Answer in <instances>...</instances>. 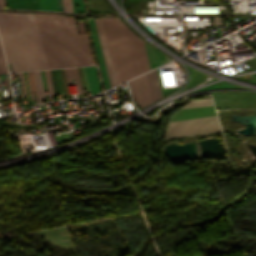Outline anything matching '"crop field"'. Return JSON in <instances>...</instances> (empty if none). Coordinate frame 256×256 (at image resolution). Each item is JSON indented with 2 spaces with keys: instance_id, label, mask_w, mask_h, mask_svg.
<instances>
[{
  "instance_id": "obj_2",
  "label": "crop field",
  "mask_w": 256,
  "mask_h": 256,
  "mask_svg": "<svg viewBox=\"0 0 256 256\" xmlns=\"http://www.w3.org/2000/svg\"><path fill=\"white\" fill-rule=\"evenodd\" d=\"M50 69L83 64L74 17L34 14Z\"/></svg>"
},
{
  "instance_id": "obj_8",
  "label": "crop field",
  "mask_w": 256,
  "mask_h": 256,
  "mask_svg": "<svg viewBox=\"0 0 256 256\" xmlns=\"http://www.w3.org/2000/svg\"><path fill=\"white\" fill-rule=\"evenodd\" d=\"M144 43H145L151 69L166 61L171 60L165 55H163L162 53H160L159 51H157L156 49H154L153 47H151L150 45H148L146 42Z\"/></svg>"
},
{
  "instance_id": "obj_15",
  "label": "crop field",
  "mask_w": 256,
  "mask_h": 256,
  "mask_svg": "<svg viewBox=\"0 0 256 256\" xmlns=\"http://www.w3.org/2000/svg\"><path fill=\"white\" fill-rule=\"evenodd\" d=\"M213 104L211 98H206V99H196V100H191L188 104H186L184 107H193V106H201V105H209Z\"/></svg>"
},
{
  "instance_id": "obj_23",
  "label": "crop field",
  "mask_w": 256,
  "mask_h": 256,
  "mask_svg": "<svg viewBox=\"0 0 256 256\" xmlns=\"http://www.w3.org/2000/svg\"><path fill=\"white\" fill-rule=\"evenodd\" d=\"M27 75V74H26ZM27 81H28V79H27ZM25 84V83H24ZM29 86V85H28ZM26 91V90H25ZM30 91V90H29ZM27 97V96H26ZM31 97V96H30Z\"/></svg>"
},
{
  "instance_id": "obj_18",
  "label": "crop field",
  "mask_w": 256,
  "mask_h": 256,
  "mask_svg": "<svg viewBox=\"0 0 256 256\" xmlns=\"http://www.w3.org/2000/svg\"><path fill=\"white\" fill-rule=\"evenodd\" d=\"M78 3V9L75 8V4ZM74 12H85L84 0H73Z\"/></svg>"
},
{
  "instance_id": "obj_7",
  "label": "crop field",
  "mask_w": 256,
  "mask_h": 256,
  "mask_svg": "<svg viewBox=\"0 0 256 256\" xmlns=\"http://www.w3.org/2000/svg\"><path fill=\"white\" fill-rule=\"evenodd\" d=\"M90 94L100 92L101 88L99 85L98 75L96 67H84Z\"/></svg>"
},
{
  "instance_id": "obj_9",
  "label": "crop field",
  "mask_w": 256,
  "mask_h": 256,
  "mask_svg": "<svg viewBox=\"0 0 256 256\" xmlns=\"http://www.w3.org/2000/svg\"><path fill=\"white\" fill-rule=\"evenodd\" d=\"M88 11L97 13H112L102 0H87Z\"/></svg>"
},
{
  "instance_id": "obj_6",
  "label": "crop field",
  "mask_w": 256,
  "mask_h": 256,
  "mask_svg": "<svg viewBox=\"0 0 256 256\" xmlns=\"http://www.w3.org/2000/svg\"><path fill=\"white\" fill-rule=\"evenodd\" d=\"M89 23H90V29H91L92 42H93V46H94V50H95V54H96V58H97V62H98V67H99L103 87L106 90V89L110 88V85H109V81H108V77H107V73H106V69H105V65H104V61H103V57H102V53H101L95 25H94V21L89 20Z\"/></svg>"
},
{
  "instance_id": "obj_12",
  "label": "crop field",
  "mask_w": 256,
  "mask_h": 256,
  "mask_svg": "<svg viewBox=\"0 0 256 256\" xmlns=\"http://www.w3.org/2000/svg\"><path fill=\"white\" fill-rule=\"evenodd\" d=\"M64 70H65V74H66L68 84H70L71 79H75L77 91L82 92L79 77H78V73H77V69L76 68H69L68 69L69 76H70V82H69V77H68V71H67V69H64ZM71 84H72V82H71Z\"/></svg>"
},
{
  "instance_id": "obj_10",
  "label": "crop field",
  "mask_w": 256,
  "mask_h": 256,
  "mask_svg": "<svg viewBox=\"0 0 256 256\" xmlns=\"http://www.w3.org/2000/svg\"><path fill=\"white\" fill-rule=\"evenodd\" d=\"M77 36H78L80 47H81V50H82V53H83L85 64L89 65V62H93V61H92V57H91V54H90V50H89V46H88V43H87L86 36H82V35H77Z\"/></svg>"
},
{
  "instance_id": "obj_4",
  "label": "crop field",
  "mask_w": 256,
  "mask_h": 256,
  "mask_svg": "<svg viewBox=\"0 0 256 256\" xmlns=\"http://www.w3.org/2000/svg\"><path fill=\"white\" fill-rule=\"evenodd\" d=\"M221 132L216 116L172 121L166 127L165 140Z\"/></svg>"
},
{
  "instance_id": "obj_3",
  "label": "crop field",
  "mask_w": 256,
  "mask_h": 256,
  "mask_svg": "<svg viewBox=\"0 0 256 256\" xmlns=\"http://www.w3.org/2000/svg\"><path fill=\"white\" fill-rule=\"evenodd\" d=\"M117 82L149 70L143 40L118 18H102Z\"/></svg>"
},
{
  "instance_id": "obj_19",
  "label": "crop field",
  "mask_w": 256,
  "mask_h": 256,
  "mask_svg": "<svg viewBox=\"0 0 256 256\" xmlns=\"http://www.w3.org/2000/svg\"><path fill=\"white\" fill-rule=\"evenodd\" d=\"M64 12H73L72 0H63Z\"/></svg>"
},
{
  "instance_id": "obj_13",
  "label": "crop field",
  "mask_w": 256,
  "mask_h": 256,
  "mask_svg": "<svg viewBox=\"0 0 256 256\" xmlns=\"http://www.w3.org/2000/svg\"><path fill=\"white\" fill-rule=\"evenodd\" d=\"M50 73H51V80H52V85H53V88H54V92L58 91V89H59V91H64L61 76H60V72L55 71L56 78H57L58 89H57V84H56L55 73H54V71H50Z\"/></svg>"
},
{
  "instance_id": "obj_20",
  "label": "crop field",
  "mask_w": 256,
  "mask_h": 256,
  "mask_svg": "<svg viewBox=\"0 0 256 256\" xmlns=\"http://www.w3.org/2000/svg\"><path fill=\"white\" fill-rule=\"evenodd\" d=\"M5 81H6L7 95L8 97H11L8 78H5Z\"/></svg>"
},
{
  "instance_id": "obj_21",
  "label": "crop field",
  "mask_w": 256,
  "mask_h": 256,
  "mask_svg": "<svg viewBox=\"0 0 256 256\" xmlns=\"http://www.w3.org/2000/svg\"><path fill=\"white\" fill-rule=\"evenodd\" d=\"M57 7H58V11H62L63 12L62 0H57Z\"/></svg>"
},
{
  "instance_id": "obj_1",
  "label": "crop field",
  "mask_w": 256,
  "mask_h": 256,
  "mask_svg": "<svg viewBox=\"0 0 256 256\" xmlns=\"http://www.w3.org/2000/svg\"><path fill=\"white\" fill-rule=\"evenodd\" d=\"M0 38L13 71L49 69L33 14L0 12Z\"/></svg>"
},
{
  "instance_id": "obj_17",
  "label": "crop field",
  "mask_w": 256,
  "mask_h": 256,
  "mask_svg": "<svg viewBox=\"0 0 256 256\" xmlns=\"http://www.w3.org/2000/svg\"><path fill=\"white\" fill-rule=\"evenodd\" d=\"M5 72H8V70H7V66H6L3 52L0 45V73H5Z\"/></svg>"
},
{
  "instance_id": "obj_22",
  "label": "crop field",
  "mask_w": 256,
  "mask_h": 256,
  "mask_svg": "<svg viewBox=\"0 0 256 256\" xmlns=\"http://www.w3.org/2000/svg\"><path fill=\"white\" fill-rule=\"evenodd\" d=\"M28 76H29V83H30V90H31V95L33 97V90H32V85H31V79H30V74L28 72Z\"/></svg>"
},
{
  "instance_id": "obj_11",
  "label": "crop field",
  "mask_w": 256,
  "mask_h": 256,
  "mask_svg": "<svg viewBox=\"0 0 256 256\" xmlns=\"http://www.w3.org/2000/svg\"><path fill=\"white\" fill-rule=\"evenodd\" d=\"M33 75H34V82H35L38 101L39 103H42L41 97L44 96V93H43L40 71L33 72Z\"/></svg>"
},
{
  "instance_id": "obj_16",
  "label": "crop field",
  "mask_w": 256,
  "mask_h": 256,
  "mask_svg": "<svg viewBox=\"0 0 256 256\" xmlns=\"http://www.w3.org/2000/svg\"><path fill=\"white\" fill-rule=\"evenodd\" d=\"M44 73H45V78H46V82H47L49 100L52 101L53 100L52 98H54L55 95L53 93L52 86H51L49 70L44 71Z\"/></svg>"
},
{
  "instance_id": "obj_14",
  "label": "crop field",
  "mask_w": 256,
  "mask_h": 256,
  "mask_svg": "<svg viewBox=\"0 0 256 256\" xmlns=\"http://www.w3.org/2000/svg\"><path fill=\"white\" fill-rule=\"evenodd\" d=\"M40 9L57 11L56 0H39Z\"/></svg>"
},
{
  "instance_id": "obj_5",
  "label": "crop field",
  "mask_w": 256,
  "mask_h": 256,
  "mask_svg": "<svg viewBox=\"0 0 256 256\" xmlns=\"http://www.w3.org/2000/svg\"><path fill=\"white\" fill-rule=\"evenodd\" d=\"M129 86L138 106L152 103L145 74L129 81Z\"/></svg>"
}]
</instances>
